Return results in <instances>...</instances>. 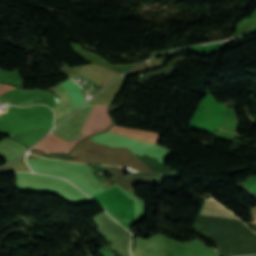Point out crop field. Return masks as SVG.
Segmentation results:
<instances>
[{
	"mask_svg": "<svg viewBox=\"0 0 256 256\" xmlns=\"http://www.w3.org/2000/svg\"><path fill=\"white\" fill-rule=\"evenodd\" d=\"M93 107L94 109H92L81 129L84 133L83 136L68 143L55 135L50 134L34 147L36 149H42L48 154L52 152L65 154V152H68L78 141L91 134L105 130L111 123V119L107 114V105H94Z\"/></svg>",
	"mask_w": 256,
	"mask_h": 256,
	"instance_id": "obj_1",
	"label": "crop field"
},
{
	"mask_svg": "<svg viewBox=\"0 0 256 256\" xmlns=\"http://www.w3.org/2000/svg\"><path fill=\"white\" fill-rule=\"evenodd\" d=\"M60 85L68 91L76 109L85 102L81 88L72 80L64 82ZM60 85L49 89V91L57 94L59 97V102L55 106V113L57 118L75 110L67 91Z\"/></svg>",
	"mask_w": 256,
	"mask_h": 256,
	"instance_id": "obj_2",
	"label": "crop field"
},
{
	"mask_svg": "<svg viewBox=\"0 0 256 256\" xmlns=\"http://www.w3.org/2000/svg\"><path fill=\"white\" fill-rule=\"evenodd\" d=\"M109 132L121 134L124 136H128L130 138L143 140L149 143L154 144L157 138L160 136L159 134L153 132H146L140 130L126 129L114 126Z\"/></svg>",
	"mask_w": 256,
	"mask_h": 256,
	"instance_id": "obj_3",
	"label": "crop field"
},
{
	"mask_svg": "<svg viewBox=\"0 0 256 256\" xmlns=\"http://www.w3.org/2000/svg\"><path fill=\"white\" fill-rule=\"evenodd\" d=\"M203 214H219V215H233L230 211L219 205L215 201L208 200Z\"/></svg>",
	"mask_w": 256,
	"mask_h": 256,
	"instance_id": "obj_4",
	"label": "crop field"
},
{
	"mask_svg": "<svg viewBox=\"0 0 256 256\" xmlns=\"http://www.w3.org/2000/svg\"><path fill=\"white\" fill-rule=\"evenodd\" d=\"M246 193H248L250 196H252L254 199H256V197L252 193H250L249 191H246ZM250 210L253 212L254 216L256 217V207L251 208ZM255 217H254V221H252L250 224L256 225V218Z\"/></svg>",
	"mask_w": 256,
	"mask_h": 256,
	"instance_id": "obj_5",
	"label": "crop field"
},
{
	"mask_svg": "<svg viewBox=\"0 0 256 256\" xmlns=\"http://www.w3.org/2000/svg\"><path fill=\"white\" fill-rule=\"evenodd\" d=\"M0 131L5 132V133H8V134H10V135L14 134V133L10 130L9 127L5 128V129H2V130H0Z\"/></svg>",
	"mask_w": 256,
	"mask_h": 256,
	"instance_id": "obj_6",
	"label": "crop field"
}]
</instances>
